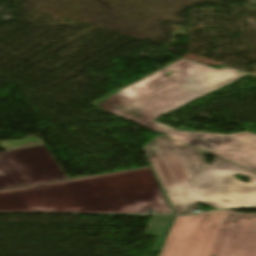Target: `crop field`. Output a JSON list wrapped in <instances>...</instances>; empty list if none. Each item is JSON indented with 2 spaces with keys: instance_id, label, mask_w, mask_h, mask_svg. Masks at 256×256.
Returning <instances> with one entry per match:
<instances>
[{
  "instance_id": "1",
  "label": "crop field",
  "mask_w": 256,
  "mask_h": 256,
  "mask_svg": "<svg viewBox=\"0 0 256 256\" xmlns=\"http://www.w3.org/2000/svg\"><path fill=\"white\" fill-rule=\"evenodd\" d=\"M248 74L181 59L92 105L256 172L254 134L177 131L152 121Z\"/></svg>"
},
{
  "instance_id": "2",
  "label": "crop field",
  "mask_w": 256,
  "mask_h": 256,
  "mask_svg": "<svg viewBox=\"0 0 256 256\" xmlns=\"http://www.w3.org/2000/svg\"><path fill=\"white\" fill-rule=\"evenodd\" d=\"M173 214L150 167L0 191V211Z\"/></svg>"
},
{
  "instance_id": "3",
  "label": "crop field",
  "mask_w": 256,
  "mask_h": 256,
  "mask_svg": "<svg viewBox=\"0 0 256 256\" xmlns=\"http://www.w3.org/2000/svg\"><path fill=\"white\" fill-rule=\"evenodd\" d=\"M256 256V214L176 216L159 256Z\"/></svg>"
},
{
  "instance_id": "4",
  "label": "crop field",
  "mask_w": 256,
  "mask_h": 256,
  "mask_svg": "<svg viewBox=\"0 0 256 256\" xmlns=\"http://www.w3.org/2000/svg\"><path fill=\"white\" fill-rule=\"evenodd\" d=\"M143 148L175 213L198 209L189 189L208 166L202 152L163 135Z\"/></svg>"
},
{
  "instance_id": "5",
  "label": "crop field",
  "mask_w": 256,
  "mask_h": 256,
  "mask_svg": "<svg viewBox=\"0 0 256 256\" xmlns=\"http://www.w3.org/2000/svg\"><path fill=\"white\" fill-rule=\"evenodd\" d=\"M233 175L250 178V183ZM190 190L197 202L217 209L256 207V173L217 157Z\"/></svg>"
},
{
  "instance_id": "6",
  "label": "crop field",
  "mask_w": 256,
  "mask_h": 256,
  "mask_svg": "<svg viewBox=\"0 0 256 256\" xmlns=\"http://www.w3.org/2000/svg\"><path fill=\"white\" fill-rule=\"evenodd\" d=\"M65 179L44 145L0 153V189Z\"/></svg>"
}]
</instances>
